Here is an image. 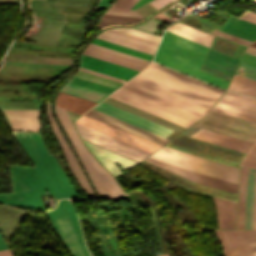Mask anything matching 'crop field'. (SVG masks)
<instances>
[{
	"instance_id": "d9b57169",
	"label": "crop field",
	"mask_w": 256,
	"mask_h": 256,
	"mask_svg": "<svg viewBox=\"0 0 256 256\" xmlns=\"http://www.w3.org/2000/svg\"><path fill=\"white\" fill-rule=\"evenodd\" d=\"M12 129L39 132V110H2Z\"/></svg>"
},
{
	"instance_id": "3316defc",
	"label": "crop field",
	"mask_w": 256,
	"mask_h": 256,
	"mask_svg": "<svg viewBox=\"0 0 256 256\" xmlns=\"http://www.w3.org/2000/svg\"><path fill=\"white\" fill-rule=\"evenodd\" d=\"M76 123L86 126L88 128H91L93 130H96L98 132H101L103 134H106L108 136H111L115 139H118L130 145H133L135 147H138L150 153L154 152L160 147L158 145H155L153 143H150L148 141H145L143 139H140L128 133L122 132L120 130H117L115 128H112L110 126L97 122L95 120H92L90 118H87L85 116H83L78 121H76Z\"/></svg>"
},
{
	"instance_id": "d3111659",
	"label": "crop field",
	"mask_w": 256,
	"mask_h": 256,
	"mask_svg": "<svg viewBox=\"0 0 256 256\" xmlns=\"http://www.w3.org/2000/svg\"><path fill=\"white\" fill-rule=\"evenodd\" d=\"M140 19H142V18L103 14L97 28H100V27L108 25V24L132 23V22H136Z\"/></svg>"
},
{
	"instance_id": "028f5c9d",
	"label": "crop field",
	"mask_w": 256,
	"mask_h": 256,
	"mask_svg": "<svg viewBox=\"0 0 256 256\" xmlns=\"http://www.w3.org/2000/svg\"><path fill=\"white\" fill-rule=\"evenodd\" d=\"M247 157L256 159V143L254 144V146L249 151ZM247 157H245L242 164L247 166V167H251V168L256 169V160H253V159H250V158H247Z\"/></svg>"
},
{
	"instance_id": "d32e631a",
	"label": "crop field",
	"mask_w": 256,
	"mask_h": 256,
	"mask_svg": "<svg viewBox=\"0 0 256 256\" xmlns=\"http://www.w3.org/2000/svg\"><path fill=\"white\" fill-rule=\"evenodd\" d=\"M235 75L256 80V68L240 63Z\"/></svg>"
},
{
	"instance_id": "0bd39190",
	"label": "crop field",
	"mask_w": 256,
	"mask_h": 256,
	"mask_svg": "<svg viewBox=\"0 0 256 256\" xmlns=\"http://www.w3.org/2000/svg\"><path fill=\"white\" fill-rule=\"evenodd\" d=\"M241 63H245L256 67V56L245 53L241 60Z\"/></svg>"
},
{
	"instance_id": "d23c7cc5",
	"label": "crop field",
	"mask_w": 256,
	"mask_h": 256,
	"mask_svg": "<svg viewBox=\"0 0 256 256\" xmlns=\"http://www.w3.org/2000/svg\"><path fill=\"white\" fill-rule=\"evenodd\" d=\"M111 0H100L99 3L97 4L98 7H106L110 3Z\"/></svg>"
},
{
	"instance_id": "00972430",
	"label": "crop field",
	"mask_w": 256,
	"mask_h": 256,
	"mask_svg": "<svg viewBox=\"0 0 256 256\" xmlns=\"http://www.w3.org/2000/svg\"><path fill=\"white\" fill-rule=\"evenodd\" d=\"M168 31L178 34L180 36H183L185 38L191 39L193 41H196V42L206 45L208 47L210 46L211 41L214 37L213 35L195 30V29H193L189 26H186L180 22L176 23L174 26H172L170 29H168Z\"/></svg>"
},
{
	"instance_id": "b54c1fbb",
	"label": "crop field",
	"mask_w": 256,
	"mask_h": 256,
	"mask_svg": "<svg viewBox=\"0 0 256 256\" xmlns=\"http://www.w3.org/2000/svg\"><path fill=\"white\" fill-rule=\"evenodd\" d=\"M6 249H7V247H6L2 237L0 235V251L1 250H6ZM0 256H12V255L10 254L9 250H6V251H1L0 252Z\"/></svg>"
},
{
	"instance_id": "dd49c442",
	"label": "crop field",
	"mask_w": 256,
	"mask_h": 256,
	"mask_svg": "<svg viewBox=\"0 0 256 256\" xmlns=\"http://www.w3.org/2000/svg\"><path fill=\"white\" fill-rule=\"evenodd\" d=\"M45 215L71 256H89L70 200H59L58 206Z\"/></svg>"
},
{
	"instance_id": "5d738f31",
	"label": "crop field",
	"mask_w": 256,
	"mask_h": 256,
	"mask_svg": "<svg viewBox=\"0 0 256 256\" xmlns=\"http://www.w3.org/2000/svg\"><path fill=\"white\" fill-rule=\"evenodd\" d=\"M171 0H155L149 4H151L152 6H154L155 8H160L161 6L165 5L166 3H168Z\"/></svg>"
},
{
	"instance_id": "5142ce71",
	"label": "crop field",
	"mask_w": 256,
	"mask_h": 256,
	"mask_svg": "<svg viewBox=\"0 0 256 256\" xmlns=\"http://www.w3.org/2000/svg\"><path fill=\"white\" fill-rule=\"evenodd\" d=\"M81 67L104 73L107 75H111L114 77H118L121 79H129L132 77L134 74H136L138 71L128 69L116 64H112L97 58H93L87 55H82L81 57Z\"/></svg>"
},
{
	"instance_id": "bd1437ed",
	"label": "crop field",
	"mask_w": 256,
	"mask_h": 256,
	"mask_svg": "<svg viewBox=\"0 0 256 256\" xmlns=\"http://www.w3.org/2000/svg\"><path fill=\"white\" fill-rule=\"evenodd\" d=\"M69 82H72V83H75V84H78V85H81V86H84V87H87V88H90V89H94V90H97V91H100V92H104V93H107V94L111 93L114 90V89H111V88H108V87H105V86H101V85H98V84H95V83H92V82H88V81H85V80L78 79V78H75V77L70 79Z\"/></svg>"
},
{
	"instance_id": "c035e120",
	"label": "crop field",
	"mask_w": 256,
	"mask_h": 256,
	"mask_svg": "<svg viewBox=\"0 0 256 256\" xmlns=\"http://www.w3.org/2000/svg\"><path fill=\"white\" fill-rule=\"evenodd\" d=\"M214 34H217L219 36H222V37H225V38H228L230 40H233V41H236V42H239L241 44H244V45H248L250 44V42H247V41H244L242 39H239V38H236V37H233V36H230V35H227V34H224L222 32H219V31H214Z\"/></svg>"
},
{
	"instance_id": "cbeb9de0",
	"label": "crop field",
	"mask_w": 256,
	"mask_h": 256,
	"mask_svg": "<svg viewBox=\"0 0 256 256\" xmlns=\"http://www.w3.org/2000/svg\"><path fill=\"white\" fill-rule=\"evenodd\" d=\"M47 117L49 120V123L51 125L52 131L56 137V139L58 140L63 156L73 174V176L77 179V181L81 184V186L83 187V189L85 190V192L87 193V195L90 198H95L94 194L92 193L77 161L75 160L73 154L71 153V151L69 150L59 128L57 127L56 123L54 122L51 113H50V109H49V103L47 105Z\"/></svg>"
},
{
	"instance_id": "eef30255",
	"label": "crop field",
	"mask_w": 256,
	"mask_h": 256,
	"mask_svg": "<svg viewBox=\"0 0 256 256\" xmlns=\"http://www.w3.org/2000/svg\"><path fill=\"white\" fill-rule=\"evenodd\" d=\"M60 92L68 93L71 95L83 97L93 101H100L103 99L107 94L100 93L94 90H90L72 83L67 82L60 90Z\"/></svg>"
},
{
	"instance_id": "28ad6ade",
	"label": "crop field",
	"mask_w": 256,
	"mask_h": 256,
	"mask_svg": "<svg viewBox=\"0 0 256 256\" xmlns=\"http://www.w3.org/2000/svg\"><path fill=\"white\" fill-rule=\"evenodd\" d=\"M94 109L99 110L103 113H106L108 115H111L113 117H116L118 119H121L125 122H128L130 124H133L135 126H138L142 129H145L147 131H150L152 133H155L160 136L166 135L171 129L166 128L164 126H161L159 124L153 123L151 121H148L146 119H143L141 117H138L136 115H133L131 113H128L126 111H123L121 109L115 108L113 106H110L108 104H105L101 102L98 104Z\"/></svg>"
},
{
	"instance_id": "92a150f3",
	"label": "crop field",
	"mask_w": 256,
	"mask_h": 256,
	"mask_svg": "<svg viewBox=\"0 0 256 256\" xmlns=\"http://www.w3.org/2000/svg\"><path fill=\"white\" fill-rule=\"evenodd\" d=\"M54 103L80 115L85 113L94 104H96V102H92L60 92L58 93Z\"/></svg>"
},
{
	"instance_id": "4177f3b9",
	"label": "crop field",
	"mask_w": 256,
	"mask_h": 256,
	"mask_svg": "<svg viewBox=\"0 0 256 256\" xmlns=\"http://www.w3.org/2000/svg\"><path fill=\"white\" fill-rule=\"evenodd\" d=\"M232 256H250L242 234L237 230H222Z\"/></svg>"
},
{
	"instance_id": "730fd06b",
	"label": "crop field",
	"mask_w": 256,
	"mask_h": 256,
	"mask_svg": "<svg viewBox=\"0 0 256 256\" xmlns=\"http://www.w3.org/2000/svg\"><path fill=\"white\" fill-rule=\"evenodd\" d=\"M87 0H30L34 15L47 17L49 3L83 6Z\"/></svg>"
},
{
	"instance_id": "425ffa30",
	"label": "crop field",
	"mask_w": 256,
	"mask_h": 256,
	"mask_svg": "<svg viewBox=\"0 0 256 256\" xmlns=\"http://www.w3.org/2000/svg\"><path fill=\"white\" fill-rule=\"evenodd\" d=\"M0 4H18V0H0Z\"/></svg>"
},
{
	"instance_id": "214f88e0",
	"label": "crop field",
	"mask_w": 256,
	"mask_h": 256,
	"mask_svg": "<svg viewBox=\"0 0 256 256\" xmlns=\"http://www.w3.org/2000/svg\"><path fill=\"white\" fill-rule=\"evenodd\" d=\"M222 32L242 38L247 41H254L256 39V25L240 20L232 16Z\"/></svg>"
},
{
	"instance_id": "ac0d7876",
	"label": "crop field",
	"mask_w": 256,
	"mask_h": 256,
	"mask_svg": "<svg viewBox=\"0 0 256 256\" xmlns=\"http://www.w3.org/2000/svg\"><path fill=\"white\" fill-rule=\"evenodd\" d=\"M110 97L185 128L195 123L208 112L206 108L134 79L123 85Z\"/></svg>"
},
{
	"instance_id": "4a817a6b",
	"label": "crop field",
	"mask_w": 256,
	"mask_h": 256,
	"mask_svg": "<svg viewBox=\"0 0 256 256\" xmlns=\"http://www.w3.org/2000/svg\"><path fill=\"white\" fill-rule=\"evenodd\" d=\"M191 137H195L201 140H205L211 143H215V144L225 146V147L235 149L245 153H247L249 148L252 146V143H248L245 141H241L238 139H234L231 137H227V136L210 132L207 130H203V129L199 130L198 132L193 134Z\"/></svg>"
},
{
	"instance_id": "bc2a9ffb",
	"label": "crop field",
	"mask_w": 256,
	"mask_h": 256,
	"mask_svg": "<svg viewBox=\"0 0 256 256\" xmlns=\"http://www.w3.org/2000/svg\"><path fill=\"white\" fill-rule=\"evenodd\" d=\"M213 199L218 218L219 228H234L236 203L214 196Z\"/></svg>"
},
{
	"instance_id": "750c4746",
	"label": "crop field",
	"mask_w": 256,
	"mask_h": 256,
	"mask_svg": "<svg viewBox=\"0 0 256 256\" xmlns=\"http://www.w3.org/2000/svg\"><path fill=\"white\" fill-rule=\"evenodd\" d=\"M92 43L99 44V45H102V46H105V47H108V48H112V49H115V50L123 51V52L129 53V54H133V55L140 56V57L150 59V60L153 57L152 55L145 54V53H142V52H139V51H136V50H133V49H129V48H126V47H123V46H119V45H116V44H112V43H109V42H106V41H103V40H99V39H96V38H94Z\"/></svg>"
},
{
	"instance_id": "03da06ac",
	"label": "crop field",
	"mask_w": 256,
	"mask_h": 256,
	"mask_svg": "<svg viewBox=\"0 0 256 256\" xmlns=\"http://www.w3.org/2000/svg\"><path fill=\"white\" fill-rule=\"evenodd\" d=\"M240 18L256 23V14L246 11Z\"/></svg>"
},
{
	"instance_id": "412701ff",
	"label": "crop field",
	"mask_w": 256,
	"mask_h": 256,
	"mask_svg": "<svg viewBox=\"0 0 256 256\" xmlns=\"http://www.w3.org/2000/svg\"><path fill=\"white\" fill-rule=\"evenodd\" d=\"M134 79L169 92L208 109L223 93L156 64L150 65Z\"/></svg>"
},
{
	"instance_id": "ae1a2a85",
	"label": "crop field",
	"mask_w": 256,
	"mask_h": 256,
	"mask_svg": "<svg viewBox=\"0 0 256 256\" xmlns=\"http://www.w3.org/2000/svg\"><path fill=\"white\" fill-rule=\"evenodd\" d=\"M228 89L256 97V81L250 79L234 75Z\"/></svg>"
},
{
	"instance_id": "c21b1889",
	"label": "crop field",
	"mask_w": 256,
	"mask_h": 256,
	"mask_svg": "<svg viewBox=\"0 0 256 256\" xmlns=\"http://www.w3.org/2000/svg\"><path fill=\"white\" fill-rule=\"evenodd\" d=\"M78 70L84 71V72H87V73H90V74H94V75H97V76H101V77H104V78H108V79H111V80H115V81H118V82H122V83L126 82L124 80H120V79L110 77V76H107V75H104V74L96 73V72H93V71H90V70H87V69H84V68H81V67H79Z\"/></svg>"
},
{
	"instance_id": "120bbe31",
	"label": "crop field",
	"mask_w": 256,
	"mask_h": 256,
	"mask_svg": "<svg viewBox=\"0 0 256 256\" xmlns=\"http://www.w3.org/2000/svg\"><path fill=\"white\" fill-rule=\"evenodd\" d=\"M137 0H116L114 4L111 6V8H116V9H130L132 5L136 2ZM148 0H138L131 9L145 3ZM130 9V10H131Z\"/></svg>"
},
{
	"instance_id": "f4fd0767",
	"label": "crop field",
	"mask_w": 256,
	"mask_h": 256,
	"mask_svg": "<svg viewBox=\"0 0 256 256\" xmlns=\"http://www.w3.org/2000/svg\"><path fill=\"white\" fill-rule=\"evenodd\" d=\"M59 118L74 150L83 163L100 198L116 199L124 194L114 178L98 163L80 140L66 110L54 105Z\"/></svg>"
},
{
	"instance_id": "5a996713",
	"label": "crop field",
	"mask_w": 256,
	"mask_h": 256,
	"mask_svg": "<svg viewBox=\"0 0 256 256\" xmlns=\"http://www.w3.org/2000/svg\"><path fill=\"white\" fill-rule=\"evenodd\" d=\"M74 124L81 138L85 141L91 142L93 144L104 147L116 153L135 159L137 161L143 160L145 157H147L150 154L148 152H145L143 150H140L138 148H135L133 146L120 142L118 140H115L111 137H108L106 135L93 131L91 129H88L76 123Z\"/></svg>"
},
{
	"instance_id": "8a807250",
	"label": "crop field",
	"mask_w": 256,
	"mask_h": 256,
	"mask_svg": "<svg viewBox=\"0 0 256 256\" xmlns=\"http://www.w3.org/2000/svg\"><path fill=\"white\" fill-rule=\"evenodd\" d=\"M34 166H9L12 195H0V202L32 210H45L40 195L78 197L64 172L48 153L40 134L12 131ZM48 191V193H46Z\"/></svg>"
},
{
	"instance_id": "34b2d1b8",
	"label": "crop field",
	"mask_w": 256,
	"mask_h": 256,
	"mask_svg": "<svg viewBox=\"0 0 256 256\" xmlns=\"http://www.w3.org/2000/svg\"><path fill=\"white\" fill-rule=\"evenodd\" d=\"M208 49L166 31L154 61L225 89L230 77L201 66Z\"/></svg>"
},
{
	"instance_id": "e1f06a70",
	"label": "crop field",
	"mask_w": 256,
	"mask_h": 256,
	"mask_svg": "<svg viewBox=\"0 0 256 256\" xmlns=\"http://www.w3.org/2000/svg\"><path fill=\"white\" fill-rule=\"evenodd\" d=\"M215 233H216V235H217V237H218V239H219V241L221 243V246H222V248L224 250L225 256H231V253L229 251V248L227 246V243L225 241V238L223 236L222 231L221 230H216Z\"/></svg>"
},
{
	"instance_id": "e52e79f7",
	"label": "crop field",
	"mask_w": 256,
	"mask_h": 256,
	"mask_svg": "<svg viewBox=\"0 0 256 256\" xmlns=\"http://www.w3.org/2000/svg\"><path fill=\"white\" fill-rule=\"evenodd\" d=\"M149 158L180 166L206 175L238 184L239 169L214 161L182 153L169 148H161Z\"/></svg>"
},
{
	"instance_id": "733c2abd",
	"label": "crop field",
	"mask_w": 256,
	"mask_h": 256,
	"mask_svg": "<svg viewBox=\"0 0 256 256\" xmlns=\"http://www.w3.org/2000/svg\"><path fill=\"white\" fill-rule=\"evenodd\" d=\"M216 106L256 117V99L227 91Z\"/></svg>"
},
{
	"instance_id": "d1516ede",
	"label": "crop field",
	"mask_w": 256,
	"mask_h": 256,
	"mask_svg": "<svg viewBox=\"0 0 256 256\" xmlns=\"http://www.w3.org/2000/svg\"><path fill=\"white\" fill-rule=\"evenodd\" d=\"M85 116L90 117L92 119H95L97 121H100L102 123H105L107 125H110L112 127H115L117 129L123 130L125 132L133 134L135 136H138L140 138H143L145 140H148V141L153 142L155 144H158L160 146L164 145L165 143H167L169 141L167 139L161 138V137L156 136V135H154L152 133L144 131V130H142L140 128L132 126V125H130L128 123H125L123 121L115 119V118H113L111 116L103 114V113H101L99 111H96L94 109H92L87 114H85Z\"/></svg>"
},
{
	"instance_id": "dafd665d",
	"label": "crop field",
	"mask_w": 256,
	"mask_h": 256,
	"mask_svg": "<svg viewBox=\"0 0 256 256\" xmlns=\"http://www.w3.org/2000/svg\"><path fill=\"white\" fill-rule=\"evenodd\" d=\"M255 188L256 171L248 169L244 229H252Z\"/></svg>"
},
{
	"instance_id": "5866460e",
	"label": "crop field",
	"mask_w": 256,
	"mask_h": 256,
	"mask_svg": "<svg viewBox=\"0 0 256 256\" xmlns=\"http://www.w3.org/2000/svg\"><path fill=\"white\" fill-rule=\"evenodd\" d=\"M88 47H92V48H95V49H98V50H102V51L109 52V53H112V54H115V55H119V56H122V57H125V58H129V59H132V60H136V61H139V62H142V63L149 64V61L142 60V59H139V58H136V57H133V56H130V55H126V54H123V53H120V52H117V51H114V50H110V49H107V48H104V47H101V46H98V45H94V44H91V43H89Z\"/></svg>"
},
{
	"instance_id": "73cf0c24",
	"label": "crop field",
	"mask_w": 256,
	"mask_h": 256,
	"mask_svg": "<svg viewBox=\"0 0 256 256\" xmlns=\"http://www.w3.org/2000/svg\"><path fill=\"white\" fill-rule=\"evenodd\" d=\"M253 229H256V200H255V212H254V224Z\"/></svg>"
},
{
	"instance_id": "a9b5d70f",
	"label": "crop field",
	"mask_w": 256,
	"mask_h": 256,
	"mask_svg": "<svg viewBox=\"0 0 256 256\" xmlns=\"http://www.w3.org/2000/svg\"><path fill=\"white\" fill-rule=\"evenodd\" d=\"M84 54L94 56V57H97V58H100V59H103V60H106L109 62H113V63L119 64V65H122V66H125L128 68L138 70V71L142 70L146 66V64H142V63H139L136 61L125 59V58H122L119 56L108 54V53L98 51V50L88 48V47L85 48Z\"/></svg>"
},
{
	"instance_id": "89e229c0",
	"label": "crop field",
	"mask_w": 256,
	"mask_h": 256,
	"mask_svg": "<svg viewBox=\"0 0 256 256\" xmlns=\"http://www.w3.org/2000/svg\"><path fill=\"white\" fill-rule=\"evenodd\" d=\"M249 46L256 47V41H254L253 43H251Z\"/></svg>"
},
{
	"instance_id": "25e5ab78",
	"label": "crop field",
	"mask_w": 256,
	"mask_h": 256,
	"mask_svg": "<svg viewBox=\"0 0 256 256\" xmlns=\"http://www.w3.org/2000/svg\"><path fill=\"white\" fill-rule=\"evenodd\" d=\"M246 53H250V54L256 55V48L248 46V48L246 50Z\"/></svg>"
},
{
	"instance_id": "b80d0937",
	"label": "crop field",
	"mask_w": 256,
	"mask_h": 256,
	"mask_svg": "<svg viewBox=\"0 0 256 256\" xmlns=\"http://www.w3.org/2000/svg\"><path fill=\"white\" fill-rule=\"evenodd\" d=\"M106 13L110 14H120V15H130V16H140L137 12L135 11H124V10H114V9H109Z\"/></svg>"
},
{
	"instance_id": "22f410ed",
	"label": "crop field",
	"mask_w": 256,
	"mask_h": 256,
	"mask_svg": "<svg viewBox=\"0 0 256 256\" xmlns=\"http://www.w3.org/2000/svg\"><path fill=\"white\" fill-rule=\"evenodd\" d=\"M145 161L150 162V163H152L154 165H157L159 167H162V168H164L166 170H169L171 172H174V173H176L178 175H181L183 177H186V178H188L190 180H193L195 182L210 185V186H213V187H217V188H221V189H224V190H228V191H232V192L237 193V189H238L237 184H233V183H230V182H227V181H223V180H220V179H217V178L206 176V175L196 173V172H193V171H190V170H186V169H183V168H180V167L169 165V164L159 162V161H156V160H153V159L147 158V159H145Z\"/></svg>"
},
{
	"instance_id": "d8731c3e",
	"label": "crop field",
	"mask_w": 256,
	"mask_h": 256,
	"mask_svg": "<svg viewBox=\"0 0 256 256\" xmlns=\"http://www.w3.org/2000/svg\"><path fill=\"white\" fill-rule=\"evenodd\" d=\"M96 38L154 54L160 36L129 28H112L100 33Z\"/></svg>"
},
{
	"instance_id": "1d83c4d3",
	"label": "crop field",
	"mask_w": 256,
	"mask_h": 256,
	"mask_svg": "<svg viewBox=\"0 0 256 256\" xmlns=\"http://www.w3.org/2000/svg\"><path fill=\"white\" fill-rule=\"evenodd\" d=\"M251 256H256V231H242Z\"/></svg>"
}]
</instances>
